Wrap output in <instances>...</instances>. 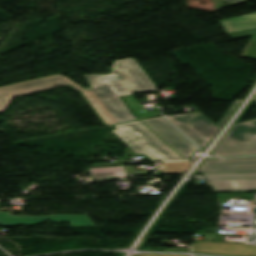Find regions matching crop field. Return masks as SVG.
Here are the masks:
<instances>
[{
    "label": "crop field",
    "mask_w": 256,
    "mask_h": 256,
    "mask_svg": "<svg viewBox=\"0 0 256 256\" xmlns=\"http://www.w3.org/2000/svg\"><path fill=\"white\" fill-rule=\"evenodd\" d=\"M84 76L92 88L80 90L106 125L135 119L120 96L157 91L133 58L115 61L109 75Z\"/></svg>",
    "instance_id": "obj_1"
},
{
    "label": "crop field",
    "mask_w": 256,
    "mask_h": 256,
    "mask_svg": "<svg viewBox=\"0 0 256 256\" xmlns=\"http://www.w3.org/2000/svg\"><path fill=\"white\" fill-rule=\"evenodd\" d=\"M145 123L186 159L198 151L195 145L162 117L116 125L118 130L112 132L136 154H145L152 161L184 158L145 126Z\"/></svg>",
    "instance_id": "obj_2"
},
{
    "label": "crop field",
    "mask_w": 256,
    "mask_h": 256,
    "mask_svg": "<svg viewBox=\"0 0 256 256\" xmlns=\"http://www.w3.org/2000/svg\"><path fill=\"white\" fill-rule=\"evenodd\" d=\"M240 102L241 100H236L234 105L217 127L201 112L169 117L167 119L171 121L177 128H179L184 134H186L191 140H193L201 149H203L214 134L219 130V128L232 115Z\"/></svg>",
    "instance_id": "obj_3"
},
{
    "label": "crop field",
    "mask_w": 256,
    "mask_h": 256,
    "mask_svg": "<svg viewBox=\"0 0 256 256\" xmlns=\"http://www.w3.org/2000/svg\"><path fill=\"white\" fill-rule=\"evenodd\" d=\"M256 154V119L235 124L211 153L215 156Z\"/></svg>",
    "instance_id": "obj_4"
},
{
    "label": "crop field",
    "mask_w": 256,
    "mask_h": 256,
    "mask_svg": "<svg viewBox=\"0 0 256 256\" xmlns=\"http://www.w3.org/2000/svg\"><path fill=\"white\" fill-rule=\"evenodd\" d=\"M68 83L74 89L81 88L62 75H53L33 81L0 88V112H4L12 97L34 92L37 90Z\"/></svg>",
    "instance_id": "obj_5"
},
{
    "label": "crop field",
    "mask_w": 256,
    "mask_h": 256,
    "mask_svg": "<svg viewBox=\"0 0 256 256\" xmlns=\"http://www.w3.org/2000/svg\"><path fill=\"white\" fill-rule=\"evenodd\" d=\"M202 175L217 191L256 189V172Z\"/></svg>",
    "instance_id": "obj_6"
},
{
    "label": "crop field",
    "mask_w": 256,
    "mask_h": 256,
    "mask_svg": "<svg viewBox=\"0 0 256 256\" xmlns=\"http://www.w3.org/2000/svg\"><path fill=\"white\" fill-rule=\"evenodd\" d=\"M43 221L70 222L71 226L94 227L88 215H51L49 217H14L9 212L0 213L1 226L36 225Z\"/></svg>",
    "instance_id": "obj_7"
},
{
    "label": "crop field",
    "mask_w": 256,
    "mask_h": 256,
    "mask_svg": "<svg viewBox=\"0 0 256 256\" xmlns=\"http://www.w3.org/2000/svg\"><path fill=\"white\" fill-rule=\"evenodd\" d=\"M256 171V156L232 159H207L196 173Z\"/></svg>",
    "instance_id": "obj_8"
},
{
    "label": "crop field",
    "mask_w": 256,
    "mask_h": 256,
    "mask_svg": "<svg viewBox=\"0 0 256 256\" xmlns=\"http://www.w3.org/2000/svg\"><path fill=\"white\" fill-rule=\"evenodd\" d=\"M192 251L242 256H256L255 245H243L233 243L196 242Z\"/></svg>",
    "instance_id": "obj_9"
},
{
    "label": "crop field",
    "mask_w": 256,
    "mask_h": 256,
    "mask_svg": "<svg viewBox=\"0 0 256 256\" xmlns=\"http://www.w3.org/2000/svg\"><path fill=\"white\" fill-rule=\"evenodd\" d=\"M227 33L256 27V13L222 22Z\"/></svg>",
    "instance_id": "obj_10"
},
{
    "label": "crop field",
    "mask_w": 256,
    "mask_h": 256,
    "mask_svg": "<svg viewBox=\"0 0 256 256\" xmlns=\"http://www.w3.org/2000/svg\"><path fill=\"white\" fill-rule=\"evenodd\" d=\"M90 173L91 177L96 176V179L116 178L127 175L123 166L90 168Z\"/></svg>",
    "instance_id": "obj_11"
},
{
    "label": "crop field",
    "mask_w": 256,
    "mask_h": 256,
    "mask_svg": "<svg viewBox=\"0 0 256 256\" xmlns=\"http://www.w3.org/2000/svg\"><path fill=\"white\" fill-rule=\"evenodd\" d=\"M192 161L158 164V169L164 173H185Z\"/></svg>",
    "instance_id": "obj_12"
},
{
    "label": "crop field",
    "mask_w": 256,
    "mask_h": 256,
    "mask_svg": "<svg viewBox=\"0 0 256 256\" xmlns=\"http://www.w3.org/2000/svg\"><path fill=\"white\" fill-rule=\"evenodd\" d=\"M242 56L256 59V37H252Z\"/></svg>",
    "instance_id": "obj_13"
},
{
    "label": "crop field",
    "mask_w": 256,
    "mask_h": 256,
    "mask_svg": "<svg viewBox=\"0 0 256 256\" xmlns=\"http://www.w3.org/2000/svg\"><path fill=\"white\" fill-rule=\"evenodd\" d=\"M228 35L230 36V38H235V37L244 36V35H256V28L245 30V31L229 33Z\"/></svg>",
    "instance_id": "obj_14"
},
{
    "label": "crop field",
    "mask_w": 256,
    "mask_h": 256,
    "mask_svg": "<svg viewBox=\"0 0 256 256\" xmlns=\"http://www.w3.org/2000/svg\"><path fill=\"white\" fill-rule=\"evenodd\" d=\"M224 1H226L229 5L233 6V5L243 3V2H246L249 0H224Z\"/></svg>",
    "instance_id": "obj_15"
},
{
    "label": "crop field",
    "mask_w": 256,
    "mask_h": 256,
    "mask_svg": "<svg viewBox=\"0 0 256 256\" xmlns=\"http://www.w3.org/2000/svg\"><path fill=\"white\" fill-rule=\"evenodd\" d=\"M137 256H177V255H154V254H141Z\"/></svg>",
    "instance_id": "obj_16"
},
{
    "label": "crop field",
    "mask_w": 256,
    "mask_h": 256,
    "mask_svg": "<svg viewBox=\"0 0 256 256\" xmlns=\"http://www.w3.org/2000/svg\"><path fill=\"white\" fill-rule=\"evenodd\" d=\"M66 85V84H65ZM62 86V85H61ZM67 86V85H66ZM58 87V86H57ZM54 88V87H53ZM50 89V88H49ZM46 90V89H45Z\"/></svg>",
    "instance_id": "obj_17"
},
{
    "label": "crop field",
    "mask_w": 256,
    "mask_h": 256,
    "mask_svg": "<svg viewBox=\"0 0 256 256\" xmlns=\"http://www.w3.org/2000/svg\"><path fill=\"white\" fill-rule=\"evenodd\" d=\"M256 96V95H255ZM255 99V101H256V97L254 98Z\"/></svg>",
    "instance_id": "obj_18"
}]
</instances>
